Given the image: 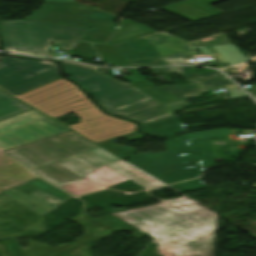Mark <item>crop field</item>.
Returning <instances> with one entry per match:
<instances>
[{
  "mask_svg": "<svg viewBox=\"0 0 256 256\" xmlns=\"http://www.w3.org/2000/svg\"><path fill=\"white\" fill-rule=\"evenodd\" d=\"M256 86V85H255ZM254 87V86H253ZM252 88V87H251ZM248 92L256 99V87L248 90Z\"/></svg>",
  "mask_w": 256,
  "mask_h": 256,
  "instance_id": "a9b5d70f",
  "label": "crop field"
},
{
  "mask_svg": "<svg viewBox=\"0 0 256 256\" xmlns=\"http://www.w3.org/2000/svg\"><path fill=\"white\" fill-rule=\"evenodd\" d=\"M116 26V23L98 21L82 40L97 44H117L157 32L127 19L122 21L120 29Z\"/></svg>",
  "mask_w": 256,
  "mask_h": 256,
  "instance_id": "22f410ed",
  "label": "crop field"
},
{
  "mask_svg": "<svg viewBox=\"0 0 256 256\" xmlns=\"http://www.w3.org/2000/svg\"><path fill=\"white\" fill-rule=\"evenodd\" d=\"M59 77L52 62L5 57L0 63V86L15 95Z\"/></svg>",
  "mask_w": 256,
  "mask_h": 256,
  "instance_id": "5a996713",
  "label": "crop field"
},
{
  "mask_svg": "<svg viewBox=\"0 0 256 256\" xmlns=\"http://www.w3.org/2000/svg\"><path fill=\"white\" fill-rule=\"evenodd\" d=\"M2 192L18 204L42 216L72 198L39 178Z\"/></svg>",
  "mask_w": 256,
  "mask_h": 256,
  "instance_id": "d1516ede",
  "label": "crop field"
},
{
  "mask_svg": "<svg viewBox=\"0 0 256 256\" xmlns=\"http://www.w3.org/2000/svg\"><path fill=\"white\" fill-rule=\"evenodd\" d=\"M98 147L70 132L7 152L76 195L128 179L145 189L163 185Z\"/></svg>",
  "mask_w": 256,
  "mask_h": 256,
  "instance_id": "8a807250",
  "label": "crop field"
},
{
  "mask_svg": "<svg viewBox=\"0 0 256 256\" xmlns=\"http://www.w3.org/2000/svg\"><path fill=\"white\" fill-rule=\"evenodd\" d=\"M141 131L148 134L168 137L185 131L177 118L142 126ZM178 134V133H177Z\"/></svg>",
  "mask_w": 256,
  "mask_h": 256,
  "instance_id": "bc2a9ffb",
  "label": "crop field"
},
{
  "mask_svg": "<svg viewBox=\"0 0 256 256\" xmlns=\"http://www.w3.org/2000/svg\"><path fill=\"white\" fill-rule=\"evenodd\" d=\"M87 30L26 20L0 22L3 51L41 57L48 56L51 40L63 41L60 50H71Z\"/></svg>",
  "mask_w": 256,
  "mask_h": 256,
  "instance_id": "f4fd0767",
  "label": "crop field"
},
{
  "mask_svg": "<svg viewBox=\"0 0 256 256\" xmlns=\"http://www.w3.org/2000/svg\"><path fill=\"white\" fill-rule=\"evenodd\" d=\"M69 131L34 109L0 121L3 150Z\"/></svg>",
  "mask_w": 256,
  "mask_h": 256,
  "instance_id": "d8731c3e",
  "label": "crop field"
},
{
  "mask_svg": "<svg viewBox=\"0 0 256 256\" xmlns=\"http://www.w3.org/2000/svg\"><path fill=\"white\" fill-rule=\"evenodd\" d=\"M116 232H118V231L110 228L108 230H105V231L95 235L94 237L90 238L89 240L85 241L84 243L93 244L94 242L99 241V240H101V239H103V238H105L107 236H110V235L116 233ZM83 254L86 255V256H90L91 252L90 251H86Z\"/></svg>",
  "mask_w": 256,
  "mask_h": 256,
  "instance_id": "dafd665d",
  "label": "crop field"
},
{
  "mask_svg": "<svg viewBox=\"0 0 256 256\" xmlns=\"http://www.w3.org/2000/svg\"><path fill=\"white\" fill-rule=\"evenodd\" d=\"M226 88L228 90H231V89H237L238 87H236L235 85H231V86H227Z\"/></svg>",
  "mask_w": 256,
  "mask_h": 256,
  "instance_id": "730fd06b",
  "label": "crop field"
},
{
  "mask_svg": "<svg viewBox=\"0 0 256 256\" xmlns=\"http://www.w3.org/2000/svg\"><path fill=\"white\" fill-rule=\"evenodd\" d=\"M60 61V60H58ZM69 79L79 83L109 113L151 99L127 83H119L101 75L95 68L74 62L60 61Z\"/></svg>",
  "mask_w": 256,
  "mask_h": 256,
  "instance_id": "dd49c442",
  "label": "crop field"
},
{
  "mask_svg": "<svg viewBox=\"0 0 256 256\" xmlns=\"http://www.w3.org/2000/svg\"><path fill=\"white\" fill-rule=\"evenodd\" d=\"M118 230V229H117ZM122 230H126V231H131V230H129V229H122ZM120 231V230H119ZM133 232V231H132ZM134 234L133 235H131L132 237H134V238H136V239H138V240H140L141 238H143L144 236H142V235H140V234H138V233H136V232H133Z\"/></svg>",
  "mask_w": 256,
  "mask_h": 256,
  "instance_id": "00972430",
  "label": "crop field"
},
{
  "mask_svg": "<svg viewBox=\"0 0 256 256\" xmlns=\"http://www.w3.org/2000/svg\"><path fill=\"white\" fill-rule=\"evenodd\" d=\"M117 49L129 66L167 65L147 37L119 45Z\"/></svg>",
  "mask_w": 256,
  "mask_h": 256,
  "instance_id": "5142ce71",
  "label": "crop field"
},
{
  "mask_svg": "<svg viewBox=\"0 0 256 256\" xmlns=\"http://www.w3.org/2000/svg\"><path fill=\"white\" fill-rule=\"evenodd\" d=\"M76 56L91 60L94 57L102 58L110 66H128L115 46H99L79 42L73 49Z\"/></svg>",
  "mask_w": 256,
  "mask_h": 256,
  "instance_id": "733c2abd",
  "label": "crop field"
},
{
  "mask_svg": "<svg viewBox=\"0 0 256 256\" xmlns=\"http://www.w3.org/2000/svg\"><path fill=\"white\" fill-rule=\"evenodd\" d=\"M220 1L223 0H188L163 9L190 21H196L223 13L224 11L209 6Z\"/></svg>",
  "mask_w": 256,
  "mask_h": 256,
  "instance_id": "d9b57169",
  "label": "crop field"
},
{
  "mask_svg": "<svg viewBox=\"0 0 256 256\" xmlns=\"http://www.w3.org/2000/svg\"><path fill=\"white\" fill-rule=\"evenodd\" d=\"M148 38L168 65L185 64L184 58L195 55L196 49L202 50L205 55H214L224 67L248 61L233 44H229L224 33L191 43L163 33Z\"/></svg>",
  "mask_w": 256,
  "mask_h": 256,
  "instance_id": "e52e79f7",
  "label": "crop field"
},
{
  "mask_svg": "<svg viewBox=\"0 0 256 256\" xmlns=\"http://www.w3.org/2000/svg\"><path fill=\"white\" fill-rule=\"evenodd\" d=\"M117 15L78 3L43 2L23 19L92 27L97 20L114 21Z\"/></svg>",
  "mask_w": 256,
  "mask_h": 256,
  "instance_id": "3316defc",
  "label": "crop field"
},
{
  "mask_svg": "<svg viewBox=\"0 0 256 256\" xmlns=\"http://www.w3.org/2000/svg\"><path fill=\"white\" fill-rule=\"evenodd\" d=\"M16 97L53 119L74 111L82 119L68 128L123 159L131 156L135 148L110 142L122 136L128 140L145 137L130 133L136 125L100 112L75 85L63 79Z\"/></svg>",
  "mask_w": 256,
  "mask_h": 256,
  "instance_id": "34b2d1b8",
  "label": "crop field"
},
{
  "mask_svg": "<svg viewBox=\"0 0 256 256\" xmlns=\"http://www.w3.org/2000/svg\"><path fill=\"white\" fill-rule=\"evenodd\" d=\"M113 215L157 236L164 256H213L217 215L190 199Z\"/></svg>",
  "mask_w": 256,
  "mask_h": 256,
  "instance_id": "ac0d7876",
  "label": "crop field"
},
{
  "mask_svg": "<svg viewBox=\"0 0 256 256\" xmlns=\"http://www.w3.org/2000/svg\"><path fill=\"white\" fill-rule=\"evenodd\" d=\"M147 77L143 75L135 74L129 77H125L127 81L131 82L130 84L135 86L136 88L142 90L147 95L153 97L160 103L168 102L174 100L175 98L152 84L150 81L146 80Z\"/></svg>",
  "mask_w": 256,
  "mask_h": 256,
  "instance_id": "4a817a6b",
  "label": "crop field"
},
{
  "mask_svg": "<svg viewBox=\"0 0 256 256\" xmlns=\"http://www.w3.org/2000/svg\"><path fill=\"white\" fill-rule=\"evenodd\" d=\"M28 109L31 108L0 90V120Z\"/></svg>",
  "mask_w": 256,
  "mask_h": 256,
  "instance_id": "214f88e0",
  "label": "crop field"
},
{
  "mask_svg": "<svg viewBox=\"0 0 256 256\" xmlns=\"http://www.w3.org/2000/svg\"><path fill=\"white\" fill-rule=\"evenodd\" d=\"M229 128L205 130L166 141L167 152L130 157L127 162L169 184L200 176L199 168L215 165L209 139L226 138Z\"/></svg>",
  "mask_w": 256,
  "mask_h": 256,
  "instance_id": "412701ff",
  "label": "crop field"
},
{
  "mask_svg": "<svg viewBox=\"0 0 256 256\" xmlns=\"http://www.w3.org/2000/svg\"><path fill=\"white\" fill-rule=\"evenodd\" d=\"M150 71L155 75L179 72L186 79L187 85L160 86L177 99L233 84L221 72L209 68L159 67L151 68Z\"/></svg>",
  "mask_w": 256,
  "mask_h": 256,
  "instance_id": "28ad6ade",
  "label": "crop field"
},
{
  "mask_svg": "<svg viewBox=\"0 0 256 256\" xmlns=\"http://www.w3.org/2000/svg\"><path fill=\"white\" fill-rule=\"evenodd\" d=\"M47 1L73 2L74 0H47Z\"/></svg>",
  "mask_w": 256,
  "mask_h": 256,
  "instance_id": "4177f3b9",
  "label": "crop field"
},
{
  "mask_svg": "<svg viewBox=\"0 0 256 256\" xmlns=\"http://www.w3.org/2000/svg\"><path fill=\"white\" fill-rule=\"evenodd\" d=\"M190 105L187 101L180 99L161 105L154 99L111 113L130 120L137 121L142 125L165 119L178 117L172 111Z\"/></svg>",
  "mask_w": 256,
  "mask_h": 256,
  "instance_id": "cbeb9de0",
  "label": "crop field"
},
{
  "mask_svg": "<svg viewBox=\"0 0 256 256\" xmlns=\"http://www.w3.org/2000/svg\"><path fill=\"white\" fill-rule=\"evenodd\" d=\"M202 183H201V179L199 178V179L183 182L177 185H172L171 187L179 192H183V191H189V190H194L199 188H205L206 186Z\"/></svg>",
  "mask_w": 256,
  "mask_h": 256,
  "instance_id": "92a150f3",
  "label": "crop field"
}]
</instances>
